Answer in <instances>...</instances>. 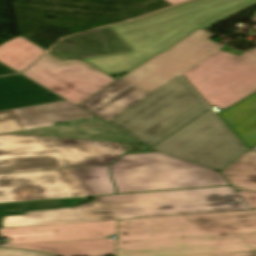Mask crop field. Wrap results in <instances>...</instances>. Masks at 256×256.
<instances>
[{
  "label": "crop field",
  "mask_w": 256,
  "mask_h": 256,
  "mask_svg": "<svg viewBox=\"0 0 256 256\" xmlns=\"http://www.w3.org/2000/svg\"><path fill=\"white\" fill-rule=\"evenodd\" d=\"M253 252L248 253H234V254H219V255H204V256H249Z\"/></svg>",
  "instance_id": "obj_21"
},
{
  "label": "crop field",
  "mask_w": 256,
  "mask_h": 256,
  "mask_svg": "<svg viewBox=\"0 0 256 256\" xmlns=\"http://www.w3.org/2000/svg\"><path fill=\"white\" fill-rule=\"evenodd\" d=\"M235 138L210 110L153 149L220 171L247 151Z\"/></svg>",
  "instance_id": "obj_10"
},
{
  "label": "crop field",
  "mask_w": 256,
  "mask_h": 256,
  "mask_svg": "<svg viewBox=\"0 0 256 256\" xmlns=\"http://www.w3.org/2000/svg\"><path fill=\"white\" fill-rule=\"evenodd\" d=\"M0 256H53L50 254L0 248Z\"/></svg>",
  "instance_id": "obj_18"
},
{
  "label": "crop field",
  "mask_w": 256,
  "mask_h": 256,
  "mask_svg": "<svg viewBox=\"0 0 256 256\" xmlns=\"http://www.w3.org/2000/svg\"><path fill=\"white\" fill-rule=\"evenodd\" d=\"M117 220L55 224L0 229V235L10 237L8 244L64 241L106 237L116 234Z\"/></svg>",
  "instance_id": "obj_12"
},
{
  "label": "crop field",
  "mask_w": 256,
  "mask_h": 256,
  "mask_svg": "<svg viewBox=\"0 0 256 256\" xmlns=\"http://www.w3.org/2000/svg\"><path fill=\"white\" fill-rule=\"evenodd\" d=\"M15 73V71L0 63V75Z\"/></svg>",
  "instance_id": "obj_20"
},
{
  "label": "crop field",
  "mask_w": 256,
  "mask_h": 256,
  "mask_svg": "<svg viewBox=\"0 0 256 256\" xmlns=\"http://www.w3.org/2000/svg\"><path fill=\"white\" fill-rule=\"evenodd\" d=\"M114 193L107 167L0 175V203Z\"/></svg>",
  "instance_id": "obj_8"
},
{
  "label": "crop field",
  "mask_w": 256,
  "mask_h": 256,
  "mask_svg": "<svg viewBox=\"0 0 256 256\" xmlns=\"http://www.w3.org/2000/svg\"><path fill=\"white\" fill-rule=\"evenodd\" d=\"M21 74L75 105L116 81L83 61L48 52Z\"/></svg>",
  "instance_id": "obj_11"
},
{
  "label": "crop field",
  "mask_w": 256,
  "mask_h": 256,
  "mask_svg": "<svg viewBox=\"0 0 256 256\" xmlns=\"http://www.w3.org/2000/svg\"><path fill=\"white\" fill-rule=\"evenodd\" d=\"M256 251V210L118 220L115 256Z\"/></svg>",
  "instance_id": "obj_2"
},
{
  "label": "crop field",
  "mask_w": 256,
  "mask_h": 256,
  "mask_svg": "<svg viewBox=\"0 0 256 256\" xmlns=\"http://www.w3.org/2000/svg\"><path fill=\"white\" fill-rule=\"evenodd\" d=\"M2 133L141 144L67 101L0 112Z\"/></svg>",
  "instance_id": "obj_7"
},
{
  "label": "crop field",
  "mask_w": 256,
  "mask_h": 256,
  "mask_svg": "<svg viewBox=\"0 0 256 256\" xmlns=\"http://www.w3.org/2000/svg\"><path fill=\"white\" fill-rule=\"evenodd\" d=\"M110 169L117 193L229 185L218 172L160 152L124 155Z\"/></svg>",
  "instance_id": "obj_6"
},
{
  "label": "crop field",
  "mask_w": 256,
  "mask_h": 256,
  "mask_svg": "<svg viewBox=\"0 0 256 256\" xmlns=\"http://www.w3.org/2000/svg\"><path fill=\"white\" fill-rule=\"evenodd\" d=\"M252 150H255V151H256V147H255L254 149H252Z\"/></svg>",
  "instance_id": "obj_24"
},
{
  "label": "crop field",
  "mask_w": 256,
  "mask_h": 256,
  "mask_svg": "<svg viewBox=\"0 0 256 256\" xmlns=\"http://www.w3.org/2000/svg\"><path fill=\"white\" fill-rule=\"evenodd\" d=\"M196 30L77 105L152 147L209 109L179 76L222 45Z\"/></svg>",
  "instance_id": "obj_1"
},
{
  "label": "crop field",
  "mask_w": 256,
  "mask_h": 256,
  "mask_svg": "<svg viewBox=\"0 0 256 256\" xmlns=\"http://www.w3.org/2000/svg\"><path fill=\"white\" fill-rule=\"evenodd\" d=\"M255 19H256V17H255Z\"/></svg>",
  "instance_id": "obj_25"
},
{
  "label": "crop field",
  "mask_w": 256,
  "mask_h": 256,
  "mask_svg": "<svg viewBox=\"0 0 256 256\" xmlns=\"http://www.w3.org/2000/svg\"><path fill=\"white\" fill-rule=\"evenodd\" d=\"M123 153L116 142L0 135V174L108 166Z\"/></svg>",
  "instance_id": "obj_5"
},
{
  "label": "crop field",
  "mask_w": 256,
  "mask_h": 256,
  "mask_svg": "<svg viewBox=\"0 0 256 256\" xmlns=\"http://www.w3.org/2000/svg\"><path fill=\"white\" fill-rule=\"evenodd\" d=\"M7 247L50 252L60 256L114 255L115 240L99 239L75 242L13 245Z\"/></svg>",
  "instance_id": "obj_14"
},
{
  "label": "crop field",
  "mask_w": 256,
  "mask_h": 256,
  "mask_svg": "<svg viewBox=\"0 0 256 256\" xmlns=\"http://www.w3.org/2000/svg\"><path fill=\"white\" fill-rule=\"evenodd\" d=\"M44 51L21 36L0 46V62L19 72Z\"/></svg>",
  "instance_id": "obj_15"
},
{
  "label": "crop field",
  "mask_w": 256,
  "mask_h": 256,
  "mask_svg": "<svg viewBox=\"0 0 256 256\" xmlns=\"http://www.w3.org/2000/svg\"><path fill=\"white\" fill-rule=\"evenodd\" d=\"M183 75L210 106L224 110L256 92V48L224 46Z\"/></svg>",
  "instance_id": "obj_9"
},
{
  "label": "crop field",
  "mask_w": 256,
  "mask_h": 256,
  "mask_svg": "<svg viewBox=\"0 0 256 256\" xmlns=\"http://www.w3.org/2000/svg\"><path fill=\"white\" fill-rule=\"evenodd\" d=\"M59 101L64 99L20 74L0 78V111Z\"/></svg>",
  "instance_id": "obj_13"
},
{
  "label": "crop field",
  "mask_w": 256,
  "mask_h": 256,
  "mask_svg": "<svg viewBox=\"0 0 256 256\" xmlns=\"http://www.w3.org/2000/svg\"><path fill=\"white\" fill-rule=\"evenodd\" d=\"M86 198L39 201L30 203L0 205V221L5 215L22 214L27 210L77 206L86 203Z\"/></svg>",
  "instance_id": "obj_17"
},
{
  "label": "crop field",
  "mask_w": 256,
  "mask_h": 256,
  "mask_svg": "<svg viewBox=\"0 0 256 256\" xmlns=\"http://www.w3.org/2000/svg\"><path fill=\"white\" fill-rule=\"evenodd\" d=\"M245 201L252 206L254 209L256 208V193L255 192H242L237 191Z\"/></svg>",
  "instance_id": "obj_19"
},
{
  "label": "crop field",
  "mask_w": 256,
  "mask_h": 256,
  "mask_svg": "<svg viewBox=\"0 0 256 256\" xmlns=\"http://www.w3.org/2000/svg\"><path fill=\"white\" fill-rule=\"evenodd\" d=\"M221 173L236 189L256 190V153H246Z\"/></svg>",
  "instance_id": "obj_16"
},
{
  "label": "crop field",
  "mask_w": 256,
  "mask_h": 256,
  "mask_svg": "<svg viewBox=\"0 0 256 256\" xmlns=\"http://www.w3.org/2000/svg\"><path fill=\"white\" fill-rule=\"evenodd\" d=\"M256 5V0H195L111 28L131 51L83 59L106 75L130 72L188 36Z\"/></svg>",
  "instance_id": "obj_4"
},
{
  "label": "crop field",
  "mask_w": 256,
  "mask_h": 256,
  "mask_svg": "<svg viewBox=\"0 0 256 256\" xmlns=\"http://www.w3.org/2000/svg\"><path fill=\"white\" fill-rule=\"evenodd\" d=\"M250 256H256V252L255 253H253L252 255H250Z\"/></svg>",
  "instance_id": "obj_23"
},
{
  "label": "crop field",
  "mask_w": 256,
  "mask_h": 256,
  "mask_svg": "<svg viewBox=\"0 0 256 256\" xmlns=\"http://www.w3.org/2000/svg\"><path fill=\"white\" fill-rule=\"evenodd\" d=\"M252 209L230 186L159 191L98 196L75 208L8 216L3 218L2 228Z\"/></svg>",
  "instance_id": "obj_3"
},
{
  "label": "crop field",
  "mask_w": 256,
  "mask_h": 256,
  "mask_svg": "<svg viewBox=\"0 0 256 256\" xmlns=\"http://www.w3.org/2000/svg\"><path fill=\"white\" fill-rule=\"evenodd\" d=\"M168 2L172 3V4H176L185 0H167Z\"/></svg>",
  "instance_id": "obj_22"
}]
</instances>
